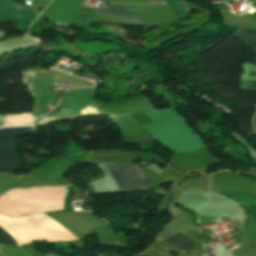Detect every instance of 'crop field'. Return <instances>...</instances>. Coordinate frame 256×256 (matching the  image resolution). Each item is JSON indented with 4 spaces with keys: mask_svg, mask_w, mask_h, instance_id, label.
I'll use <instances>...</instances> for the list:
<instances>
[{
    "mask_svg": "<svg viewBox=\"0 0 256 256\" xmlns=\"http://www.w3.org/2000/svg\"><path fill=\"white\" fill-rule=\"evenodd\" d=\"M144 114L155 124L142 126L174 153L192 151L205 146L203 140L192 132L188 123L174 107L159 113Z\"/></svg>",
    "mask_w": 256,
    "mask_h": 256,
    "instance_id": "8a807250",
    "label": "crop field"
},
{
    "mask_svg": "<svg viewBox=\"0 0 256 256\" xmlns=\"http://www.w3.org/2000/svg\"><path fill=\"white\" fill-rule=\"evenodd\" d=\"M96 88L70 90L61 106L35 119L33 125H43L60 119H73L85 115H98L93 101Z\"/></svg>",
    "mask_w": 256,
    "mask_h": 256,
    "instance_id": "ac0d7876",
    "label": "crop field"
},
{
    "mask_svg": "<svg viewBox=\"0 0 256 256\" xmlns=\"http://www.w3.org/2000/svg\"><path fill=\"white\" fill-rule=\"evenodd\" d=\"M104 166L117 192L150 191L153 188L140 167L126 164Z\"/></svg>",
    "mask_w": 256,
    "mask_h": 256,
    "instance_id": "34b2d1b8",
    "label": "crop field"
},
{
    "mask_svg": "<svg viewBox=\"0 0 256 256\" xmlns=\"http://www.w3.org/2000/svg\"><path fill=\"white\" fill-rule=\"evenodd\" d=\"M23 84L27 86L34 97V108L30 112L35 117L41 115L50 104L54 95L49 94L55 78L27 71L23 72Z\"/></svg>",
    "mask_w": 256,
    "mask_h": 256,
    "instance_id": "412701ff",
    "label": "crop field"
},
{
    "mask_svg": "<svg viewBox=\"0 0 256 256\" xmlns=\"http://www.w3.org/2000/svg\"><path fill=\"white\" fill-rule=\"evenodd\" d=\"M28 127L0 129V171L13 172L18 168L19 158L10 137L28 132Z\"/></svg>",
    "mask_w": 256,
    "mask_h": 256,
    "instance_id": "f4fd0767",
    "label": "crop field"
},
{
    "mask_svg": "<svg viewBox=\"0 0 256 256\" xmlns=\"http://www.w3.org/2000/svg\"><path fill=\"white\" fill-rule=\"evenodd\" d=\"M94 13L107 17L117 18L119 20H128L142 23L139 16L133 12L131 5L107 4L104 10L95 9Z\"/></svg>",
    "mask_w": 256,
    "mask_h": 256,
    "instance_id": "dd49c442",
    "label": "crop field"
},
{
    "mask_svg": "<svg viewBox=\"0 0 256 256\" xmlns=\"http://www.w3.org/2000/svg\"><path fill=\"white\" fill-rule=\"evenodd\" d=\"M164 240L171 243L172 245L180 248L181 250H183L187 253L190 252V248H191L192 244L194 243L178 232Z\"/></svg>",
    "mask_w": 256,
    "mask_h": 256,
    "instance_id": "e52e79f7",
    "label": "crop field"
},
{
    "mask_svg": "<svg viewBox=\"0 0 256 256\" xmlns=\"http://www.w3.org/2000/svg\"><path fill=\"white\" fill-rule=\"evenodd\" d=\"M233 36L238 37L240 39H244V40L256 41V31H253V30L238 29L234 32ZM244 40L242 41L245 42L247 45L251 46L256 54V42H250V41H244ZM251 63L256 66V57Z\"/></svg>",
    "mask_w": 256,
    "mask_h": 256,
    "instance_id": "d8731c3e",
    "label": "crop field"
},
{
    "mask_svg": "<svg viewBox=\"0 0 256 256\" xmlns=\"http://www.w3.org/2000/svg\"><path fill=\"white\" fill-rule=\"evenodd\" d=\"M4 9L36 16L31 8L26 7L24 5H21V4H19L17 2H14L12 0H7V3L5 5ZM1 24H2V22H0V25Z\"/></svg>",
    "mask_w": 256,
    "mask_h": 256,
    "instance_id": "5a996713",
    "label": "crop field"
},
{
    "mask_svg": "<svg viewBox=\"0 0 256 256\" xmlns=\"http://www.w3.org/2000/svg\"><path fill=\"white\" fill-rule=\"evenodd\" d=\"M0 256H25L16 247L0 245Z\"/></svg>",
    "mask_w": 256,
    "mask_h": 256,
    "instance_id": "3316defc",
    "label": "crop field"
},
{
    "mask_svg": "<svg viewBox=\"0 0 256 256\" xmlns=\"http://www.w3.org/2000/svg\"><path fill=\"white\" fill-rule=\"evenodd\" d=\"M0 243L18 246L14 239H12L2 228H0Z\"/></svg>",
    "mask_w": 256,
    "mask_h": 256,
    "instance_id": "28ad6ade",
    "label": "crop field"
},
{
    "mask_svg": "<svg viewBox=\"0 0 256 256\" xmlns=\"http://www.w3.org/2000/svg\"><path fill=\"white\" fill-rule=\"evenodd\" d=\"M51 0H34V6L48 5Z\"/></svg>",
    "mask_w": 256,
    "mask_h": 256,
    "instance_id": "d1516ede",
    "label": "crop field"
},
{
    "mask_svg": "<svg viewBox=\"0 0 256 256\" xmlns=\"http://www.w3.org/2000/svg\"><path fill=\"white\" fill-rule=\"evenodd\" d=\"M151 106H152V104L147 100V99H145ZM153 107V106H152ZM154 108V107H153ZM155 109V108H154ZM156 110V109H155ZM103 116H108V115H103ZM119 116H122V115H119Z\"/></svg>",
    "mask_w": 256,
    "mask_h": 256,
    "instance_id": "22f410ed",
    "label": "crop field"
},
{
    "mask_svg": "<svg viewBox=\"0 0 256 256\" xmlns=\"http://www.w3.org/2000/svg\"><path fill=\"white\" fill-rule=\"evenodd\" d=\"M113 120L116 122V120H115V118H113ZM116 124H117V122H116ZM118 125V124H117ZM119 127V126H118ZM119 129H120V127H119ZM120 131H121V129H120ZM121 133H122V131H121ZM122 135H123V133H122Z\"/></svg>",
    "mask_w": 256,
    "mask_h": 256,
    "instance_id": "cbeb9de0",
    "label": "crop field"
},
{
    "mask_svg": "<svg viewBox=\"0 0 256 256\" xmlns=\"http://www.w3.org/2000/svg\"><path fill=\"white\" fill-rule=\"evenodd\" d=\"M254 125H255V128H256V117H255V119H254Z\"/></svg>",
    "mask_w": 256,
    "mask_h": 256,
    "instance_id": "5142ce71",
    "label": "crop field"
},
{
    "mask_svg": "<svg viewBox=\"0 0 256 256\" xmlns=\"http://www.w3.org/2000/svg\"><path fill=\"white\" fill-rule=\"evenodd\" d=\"M2 174H3V173H0V179H1Z\"/></svg>",
    "mask_w": 256,
    "mask_h": 256,
    "instance_id": "d9b57169",
    "label": "crop field"
}]
</instances>
